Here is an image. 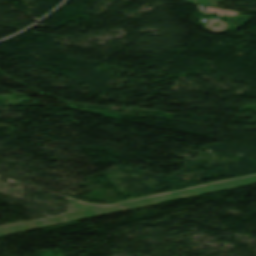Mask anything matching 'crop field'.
Returning <instances> with one entry per match:
<instances>
[{"label":"crop field","instance_id":"8a807250","mask_svg":"<svg viewBox=\"0 0 256 256\" xmlns=\"http://www.w3.org/2000/svg\"><path fill=\"white\" fill-rule=\"evenodd\" d=\"M206 8H207L209 13H217L218 16H222V15L236 16V15H238V12L227 11V10L216 9V8H210V7H206Z\"/></svg>","mask_w":256,"mask_h":256},{"label":"crop field","instance_id":"ac0d7876","mask_svg":"<svg viewBox=\"0 0 256 256\" xmlns=\"http://www.w3.org/2000/svg\"><path fill=\"white\" fill-rule=\"evenodd\" d=\"M205 26L210 28V29H215V30H219V31H222V30H224L225 27H227L224 22H221V21H218V20H212L211 22H209Z\"/></svg>","mask_w":256,"mask_h":256}]
</instances>
